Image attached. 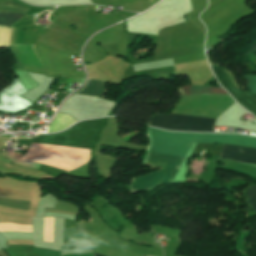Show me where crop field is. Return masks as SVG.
Segmentation results:
<instances>
[{
	"label": "crop field",
	"instance_id": "crop-field-7",
	"mask_svg": "<svg viewBox=\"0 0 256 256\" xmlns=\"http://www.w3.org/2000/svg\"><path fill=\"white\" fill-rule=\"evenodd\" d=\"M22 16L15 13H0V25L10 26Z\"/></svg>",
	"mask_w": 256,
	"mask_h": 256
},
{
	"label": "crop field",
	"instance_id": "crop-field-4",
	"mask_svg": "<svg viewBox=\"0 0 256 256\" xmlns=\"http://www.w3.org/2000/svg\"><path fill=\"white\" fill-rule=\"evenodd\" d=\"M11 48L17 62V69L25 70V65L45 69L35 53L34 44L12 45Z\"/></svg>",
	"mask_w": 256,
	"mask_h": 256
},
{
	"label": "crop field",
	"instance_id": "crop-field-6",
	"mask_svg": "<svg viewBox=\"0 0 256 256\" xmlns=\"http://www.w3.org/2000/svg\"><path fill=\"white\" fill-rule=\"evenodd\" d=\"M103 90H104V83L103 82L90 80L87 87L84 88L79 93L80 94L100 96V94L103 92Z\"/></svg>",
	"mask_w": 256,
	"mask_h": 256
},
{
	"label": "crop field",
	"instance_id": "crop-field-8",
	"mask_svg": "<svg viewBox=\"0 0 256 256\" xmlns=\"http://www.w3.org/2000/svg\"><path fill=\"white\" fill-rule=\"evenodd\" d=\"M248 197L249 200L254 208V210L256 211V186H253L248 192Z\"/></svg>",
	"mask_w": 256,
	"mask_h": 256
},
{
	"label": "crop field",
	"instance_id": "crop-field-1",
	"mask_svg": "<svg viewBox=\"0 0 256 256\" xmlns=\"http://www.w3.org/2000/svg\"><path fill=\"white\" fill-rule=\"evenodd\" d=\"M150 129L149 152L185 157L193 143H227L256 148V138L227 134L170 133ZM224 144L219 158L256 164V149ZM218 158V159H219Z\"/></svg>",
	"mask_w": 256,
	"mask_h": 256
},
{
	"label": "crop field",
	"instance_id": "crop-field-5",
	"mask_svg": "<svg viewBox=\"0 0 256 256\" xmlns=\"http://www.w3.org/2000/svg\"><path fill=\"white\" fill-rule=\"evenodd\" d=\"M181 96L189 94H227L222 88L186 86L178 89Z\"/></svg>",
	"mask_w": 256,
	"mask_h": 256
},
{
	"label": "crop field",
	"instance_id": "crop-field-9",
	"mask_svg": "<svg viewBox=\"0 0 256 256\" xmlns=\"http://www.w3.org/2000/svg\"><path fill=\"white\" fill-rule=\"evenodd\" d=\"M251 93H256V76L245 77Z\"/></svg>",
	"mask_w": 256,
	"mask_h": 256
},
{
	"label": "crop field",
	"instance_id": "crop-field-3",
	"mask_svg": "<svg viewBox=\"0 0 256 256\" xmlns=\"http://www.w3.org/2000/svg\"><path fill=\"white\" fill-rule=\"evenodd\" d=\"M25 92L19 79L13 80L11 86L0 91V112L16 114L29 108L31 102L21 97Z\"/></svg>",
	"mask_w": 256,
	"mask_h": 256
},
{
	"label": "crop field",
	"instance_id": "crop-field-2",
	"mask_svg": "<svg viewBox=\"0 0 256 256\" xmlns=\"http://www.w3.org/2000/svg\"><path fill=\"white\" fill-rule=\"evenodd\" d=\"M215 119L176 114H157L151 117L150 126L171 130L214 132Z\"/></svg>",
	"mask_w": 256,
	"mask_h": 256
},
{
	"label": "crop field",
	"instance_id": "crop-field-10",
	"mask_svg": "<svg viewBox=\"0 0 256 256\" xmlns=\"http://www.w3.org/2000/svg\"><path fill=\"white\" fill-rule=\"evenodd\" d=\"M94 256H102V255H98V254H95V253H94Z\"/></svg>",
	"mask_w": 256,
	"mask_h": 256
}]
</instances>
